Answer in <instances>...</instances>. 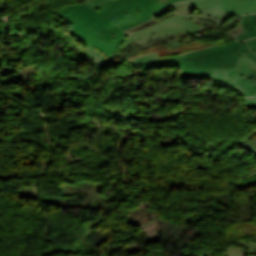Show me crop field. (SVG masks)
Returning <instances> with one entry per match:
<instances>
[{
  "mask_svg": "<svg viewBox=\"0 0 256 256\" xmlns=\"http://www.w3.org/2000/svg\"><path fill=\"white\" fill-rule=\"evenodd\" d=\"M180 13L209 15L226 21L235 15L256 13V0H191L178 2L159 12L155 18L153 17L154 19L130 29L126 33L130 34Z\"/></svg>",
  "mask_w": 256,
  "mask_h": 256,
  "instance_id": "ac0d7876",
  "label": "crop field"
},
{
  "mask_svg": "<svg viewBox=\"0 0 256 256\" xmlns=\"http://www.w3.org/2000/svg\"><path fill=\"white\" fill-rule=\"evenodd\" d=\"M230 241L238 242V243H241V244L249 247L250 248L249 251H256V243H243L241 241H235V240H230ZM226 254H227V256H246L248 254V251H243L240 248L227 246Z\"/></svg>",
  "mask_w": 256,
  "mask_h": 256,
  "instance_id": "3316defc",
  "label": "crop field"
},
{
  "mask_svg": "<svg viewBox=\"0 0 256 256\" xmlns=\"http://www.w3.org/2000/svg\"><path fill=\"white\" fill-rule=\"evenodd\" d=\"M248 153L256 157V130L247 135L246 138L237 143Z\"/></svg>",
  "mask_w": 256,
  "mask_h": 256,
  "instance_id": "5a996713",
  "label": "crop field"
},
{
  "mask_svg": "<svg viewBox=\"0 0 256 256\" xmlns=\"http://www.w3.org/2000/svg\"><path fill=\"white\" fill-rule=\"evenodd\" d=\"M141 48V47H140ZM139 46L134 42L131 44L128 48H126L120 56L113 62L112 65L108 66L102 59H100L94 52H92L90 49L85 52L86 56H88L90 59L95 61L96 63L104 66V67H112L118 65L121 61H123L129 54L140 50Z\"/></svg>",
  "mask_w": 256,
  "mask_h": 256,
  "instance_id": "d8731c3e",
  "label": "crop field"
},
{
  "mask_svg": "<svg viewBox=\"0 0 256 256\" xmlns=\"http://www.w3.org/2000/svg\"><path fill=\"white\" fill-rule=\"evenodd\" d=\"M178 0H85L59 8L54 13L71 24L68 34L93 50L107 64L132 42L127 30L145 22L167 5Z\"/></svg>",
  "mask_w": 256,
  "mask_h": 256,
  "instance_id": "8a807250",
  "label": "crop field"
},
{
  "mask_svg": "<svg viewBox=\"0 0 256 256\" xmlns=\"http://www.w3.org/2000/svg\"><path fill=\"white\" fill-rule=\"evenodd\" d=\"M155 57H159L157 51L156 52H152L150 54H144L141 55L137 58H135L134 60L130 59L129 57L126 59L128 61H130L131 63H133L135 66L138 65L140 62L147 60L149 58H155Z\"/></svg>",
  "mask_w": 256,
  "mask_h": 256,
  "instance_id": "d1516ede",
  "label": "crop field"
},
{
  "mask_svg": "<svg viewBox=\"0 0 256 256\" xmlns=\"http://www.w3.org/2000/svg\"><path fill=\"white\" fill-rule=\"evenodd\" d=\"M168 44H169L171 49L181 46L180 43L178 42V40L177 41H175V40L170 41Z\"/></svg>",
  "mask_w": 256,
  "mask_h": 256,
  "instance_id": "5142ce71",
  "label": "crop field"
},
{
  "mask_svg": "<svg viewBox=\"0 0 256 256\" xmlns=\"http://www.w3.org/2000/svg\"><path fill=\"white\" fill-rule=\"evenodd\" d=\"M196 22H205L215 26L224 23V21L209 16L181 14L167 18L156 25L137 31L129 35V37L143 49L156 43L180 38L200 31Z\"/></svg>",
  "mask_w": 256,
  "mask_h": 256,
  "instance_id": "34b2d1b8",
  "label": "crop field"
},
{
  "mask_svg": "<svg viewBox=\"0 0 256 256\" xmlns=\"http://www.w3.org/2000/svg\"><path fill=\"white\" fill-rule=\"evenodd\" d=\"M234 18L238 23L226 30L234 39L237 38L241 41L256 37V15H243Z\"/></svg>",
  "mask_w": 256,
  "mask_h": 256,
  "instance_id": "dd49c442",
  "label": "crop field"
},
{
  "mask_svg": "<svg viewBox=\"0 0 256 256\" xmlns=\"http://www.w3.org/2000/svg\"><path fill=\"white\" fill-rule=\"evenodd\" d=\"M240 63H244L245 65H247L249 68H251L252 70H254L256 72V62L250 60L245 54H243L239 61Z\"/></svg>",
  "mask_w": 256,
  "mask_h": 256,
  "instance_id": "22f410ed",
  "label": "crop field"
},
{
  "mask_svg": "<svg viewBox=\"0 0 256 256\" xmlns=\"http://www.w3.org/2000/svg\"><path fill=\"white\" fill-rule=\"evenodd\" d=\"M79 256V255H78Z\"/></svg>",
  "mask_w": 256,
  "mask_h": 256,
  "instance_id": "bc2a9ffb",
  "label": "crop field"
},
{
  "mask_svg": "<svg viewBox=\"0 0 256 256\" xmlns=\"http://www.w3.org/2000/svg\"><path fill=\"white\" fill-rule=\"evenodd\" d=\"M243 99L245 101L246 109H256V97Z\"/></svg>",
  "mask_w": 256,
  "mask_h": 256,
  "instance_id": "cbeb9de0",
  "label": "crop field"
},
{
  "mask_svg": "<svg viewBox=\"0 0 256 256\" xmlns=\"http://www.w3.org/2000/svg\"><path fill=\"white\" fill-rule=\"evenodd\" d=\"M248 256H256V252H249Z\"/></svg>",
  "mask_w": 256,
  "mask_h": 256,
  "instance_id": "733c2abd",
  "label": "crop field"
},
{
  "mask_svg": "<svg viewBox=\"0 0 256 256\" xmlns=\"http://www.w3.org/2000/svg\"><path fill=\"white\" fill-rule=\"evenodd\" d=\"M245 44L244 42L238 43L237 41H231L225 45H219L217 47L213 48H207V49H202L190 54L186 55H180V56H173V57H166L165 62H176V61H183V60H188L191 58H198V57H203V56H209L211 54H216V53H221L223 51L237 48L238 46Z\"/></svg>",
  "mask_w": 256,
  "mask_h": 256,
  "instance_id": "e52e79f7",
  "label": "crop field"
},
{
  "mask_svg": "<svg viewBox=\"0 0 256 256\" xmlns=\"http://www.w3.org/2000/svg\"><path fill=\"white\" fill-rule=\"evenodd\" d=\"M239 74L232 70H213L211 84L226 86L243 96L256 95V86L237 79Z\"/></svg>",
  "mask_w": 256,
  "mask_h": 256,
  "instance_id": "f4fd0767",
  "label": "crop field"
},
{
  "mask_svg": "<svg viewBox=\"0 0 256 256\" xmlns=\"http://www.w3.org/2000/svg\"><path fill=\"white\" fill-rule=\"evenodd\" d=\"M249 46L252 48L251 50L253 49H256V38L255 39H249L247 40Z\"/></svg>",
  "mask_w": 256,
  "mask_h": 256,
  "instance_id": "d9b57169",
  "label": "crop field"
},
{
  "mask_svg": "<svg viewBox=\"0 0 256 256\" xmlns=\"http://www.w3.org/2000/svg\"><path fill=\"white\" fill-rule=\"evenodd\" d=\"M252 52H254V53L256 54V50H254V51H252Z\"/></svg>",
  "mask_w": 256,
  "mask_h": 256,
  "instance_id": "4a817a6b",
  "label": "crop field"
},
{
  "mask_svg": "<svg viewBox=\"0 0 256 256\" xmlns=\"http://www.w3.org/2000/svg\"><path fill=\"white\" fill-rule=\"evenodd\" d=\"M249 50L247 44L237 49L226 51L221 54L209 57L192 59L176 63H157L147 65L146 68L179 66L181 68L180 77L184 79H211L212 68H232L236 60L243 52Z\"/></svg>",
  "mask_w": 256,
  "mask_h": 256,
  "instance_id": "412701ff",
  "label": "crop field"
},
{
  "mask_svg": "<svg viewBox=\"0 0 256 256\" xmlns=\"http://www.w3.org/2000/svg\"><path fill=\"white\" fill-rule=\"evenodd\" d=\"M237 22L235 21V19H231L230 21L226 22L225 24L215 28V29H211V30H207V31H203V34L205 35V37H210V36H214V35H218L222 32H224L226 29H228L229 27H231L232 25L236 24Z\"/></svg>",
  "mask_w": 256,
  "mask_h": 256,
  "instance_id": "28ad6ade",
  "label": "crop field"
}]
</instances>
